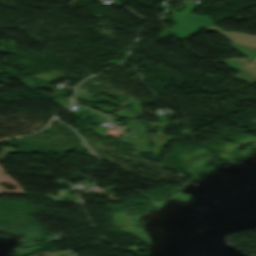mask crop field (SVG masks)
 Instances as JSON below:
<instances>
[{
  "label": "crop field",
  "instance_id": "crop-field-1",
  "mask_svg": "<svg viewBox=\"0 0 256 256\" xmlns=\"http://www.w3.org/2000/svg\"><path fill=\"white\" fill-rule=\"evenodd\" d=\"M149 138L153 143L152 150H153L154 158L161 156L162 150L167 146L170 140L179 139L175 137L158 136V135H150Z\"/></svg>",
  "mask_w": 256,
  "mask_h": 256
},
{
  "label": "crop field",
  "instance_id": "crop-field-2",
  "mask_svg": "<svg viewBox=\"0 0 256 256\" xmlns=\"http://www.w3.org/2000/svg\"><path fill=\"white\" fill-rule=\"evenodd\" d=\"M249 80H250V79L242 78V79H240L239 81L247 82V81H249Z\"/></svg>",
  "mask_w": 256,
  "mask_h": 256
}]
</instances>
